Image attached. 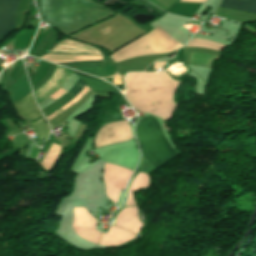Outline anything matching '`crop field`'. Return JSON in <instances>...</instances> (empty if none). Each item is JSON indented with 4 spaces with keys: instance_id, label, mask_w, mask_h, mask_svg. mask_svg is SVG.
<instances>
[{
    "instance_id": "1",
    "label": "crop field",
    "mask_w": 256,
    "mask_h": 256,
    "mask_svg": "<svg viewBox=\"0 0 256 256\" xmlns=\"http://www.w3.org/2000/svg\"><path fill=\"white\" fill-rule=\"evenodd\" d=\"M180 82L174 81L167 72L130 73L125 77L126 93L132 106L151 115L170 119L175 108L173 93Z\"/></svg>"
},
{
    "instance_id": "2",
    "label": "crop field",
    "mask_w": 256,
    "mask_h": 256,
    "mask_svg": "<svg viewBox=\"0 0 256 256\" xmlns=\"http://www.w3.org/2000/svg\"><path fill=\"white\" fill-rule=\"evenodd\" d=\"M39 5L42 21L66 35L113 15L88 0H39Z\"/></svg>"
},
{
    "instance_id": "3",
    "label": "crop field",
    "mask_w": 256,
    "mask_h": 256,
    "mask_svg": "<svg viewBox=\"0 0 256 256\" xmlns=\"http://www.w3.org/2000/svg\"><path fill=\"white\" fill-rule=\"evenodd\" d=\"M135 132L143 154L156 168L169 163L178 155L166 142L154 118L148 116L138 121Z\"/></svg>"
},
{
    "instance_id": "4",
    "label": "crop field",
    "mask_w": 256,
    "mask_h": 256,
    "mask_svg": "<svg viewBox=\"0 0 256 256\" xmlns=\"http://www.w3.org/2000/svg\"><path fill=\"white\" fill-rule=\"evenodd\" d=\"M132 172V170L107 162L104 173V181L106 185L105 194L115 205L118 200L120 190H125L126 182L129 180Z\"/></svg>"
},
{
    "instance_id": "5",
    "label": "crop field",
    "mask_w": 256,
    "mask_h": 256,
    "mask_svg": "<svg viewBox=\"0 0 256 256\" xmlns=\"http://www.w3.org/2000/svg\"><path fill=\"white\" fill-rule=\"evenodd\" d=\"M132 138L131 131L127 121L109 123L103 126L97 136L95 145L96 148L109 144L129 140Z\"/></svg>"
},
{
    "instance_id": "6",
    "label": "crop field",
    "mask_w": 256,
    "mask_h": 256,
    "mask_svg": "<svg viewBox=\"0 0 256 256\" xmlns=\"http://www.w3.org/2000/svg\"><path fill=\"white\" fill-rule=\"evenodd\" d=\"M20 0H0V41L15 31V12Z\"/></svg>"
},
{
    "instance_id": "7",
    "label": "crop field",
    "mask_w": 256,
    "mask_h": 256,
    "mask_svg": "<svg viewBox=\"0 0 256 256\" xmlns=\"http://www.w3.org/2000/svg\"><path fill=\"white\" fill-rule=\"evenodd\" d=\"M96 222L86 209L74 208V223L72 226L98 243L101 233L95 230Z\"/></svg>"
},
{
    "instance_id": "8",
    "label": "crop field",
    "mask_w": 256,
    "mask_h": 256,
    "mask_svg": "<svg viewBox=\"0 0 256 256\" xmlns=\"http://www.w3.org/2000/svg\"><path fill=\"white\" fill-rule=\"evenodd\" d=\"M116 226L138 233L142 223L138 220L137 207L122 209L117 216Z\"/></svg>"
},
{
    "instance_id": "9",
    "label": "crop field",
    "mask_w": 256,
    "mask_h": 256,
    "mask_svg": "<svg viewBox=\"0 0 256 256\" xmlns=\"http://www.w3.org/2000/svg\"><path fill=\"white\" fill-rule=\"evenodd\" d=\"M136 236L117 227L111 226L107 235H101L100 244L105 246H113V245H120L124 242H127Z\"/></svg>"
},
{
    "instance_id": "10",
    "label": "crop field",
    "mask_w": 256,
    "mask_h": 256,
    "mask_svg": "<svg viewBox=\"0 0 256 256\" xmlns=\"http://www.w3.org/2000/svg\"><path fill=\"white\" fill-rule=\"evenodd\" d=\"M73 73H75L77 76H79L92 90L93 92L97 93H109L111 85L107 84L103 80L83 74L77 71L71 70Z\"/></svg>"
},
{
    "instance_id": "11",
    "label": "crop field",
    "mask_w": 256,
    "mask_h": 256,
    "mask_svg": "<svg viewBox=\"0 0 256 256\" xmlns=\"http://www.w3.org/2000/svg\"><path fill=\"white\" fill-rule=\"evenodd\" d=\"M219 7H227L256 14V0H222Z\"/></svg>"
},
{
    "instance_id": "12",
    "label": "crop field",
    "mask_w": 256,
    "mask_h": 256,
    "mask_svg": "<svg viewBox=\"0 0 256 256\" xmlns=\"http://www.w3.org/2000/svg\"><path fill=\"white\" fill-rule=\"evenodd\" d=\"M147 185H148V175L142 174V173L138 172L136 174L133 182L131 183L129 194H128V198H127L125 206H132V205H134V200L132 198V196H133L132 191L140 190L142 188H147Z\"/></svg>"
},
{
    "instance_id": "13",
    "label": "crop field",
    "mask_w": 256,
    "mask_h": 256,
    "mask_svg": "<svg viewBox=\"0 0 256 256\" xmlns=\"http://www.w3.org/2000/svg\"><path fill=\"white\" fill-rule=\"evenodd\" d=\"M200 4L193 3H177L173 8H171L168 12L190 18L193 13L198 9Z\"/></svg>"
},
{
    "instance_id": "14",
    "label": "crop field",
    "mask_w": 256,
    "mask_h": 256,
    "mask_svg": "<svg viewBox=\"0 0 256 256\" xmlns=\"http://www.w3.org/2000/svg\"><path fill=\"white\" fill-rule=\"evenodd\" d=\"M60 147H61L60 145L52 143L42 164L40 163L47 171H49L50 168L52 167V165L60 151Z\"/></svg>"
},
{
    "instance_id": "15",
    "label": "crop field",
    "mask_w": 256,
    "mask_h": 256,
    "mask_svg": "<svg viewBox=\"0 0 256 256\" xmlns=\"http://www.w3.org/2000/svg\"><path fill=\"white\" fill-rule=\"evenodd\" d=\"M90 89L88 88V86L86 85L81 92L75 97L73 98L69 103H67L66 105H64L63 107H61L60 109H58L57 111H55L53 114H51L50 116L46 117L48 122L51 121L52 119H54L56 116H58L59 114H61L63 111H65L66 109H68L69 107H71L73 104H75L76 102H78Z\"/></svg>"
},
{
    "instance_id": "16",
    "label": "crop field",
    "mask_w": 256,
    "mask_h": 256,
    "mask_svg": "<svg viewBox=\"0 0 256 256\" xmlns=\"http://www.w3.org/2000/svg\"><path fill=\"white\" fill-rule=\"evenodd\" d=\"M73 69L84 72V73H87V74L95 75V76H98V77L105 76L103 66L78 67V68H73Z\"/></svg>"
},
{
    "instance_id": "17",
    "label": "crop field",
    "mask_w": 256,
    "mask_h": 256,
    "mask_svg": "<svg viewBox=\"0 0 256 256\" xmlns=\"http://www.w3.org/2000/svg\"><path fill=\"white\" fill-rule=\"evenodd\" d=\"M66 67L72 66H93V65H103V61H88V62H72V63H59Z\"/></svg>"
},
{
    "instance_id": "18",
    "label": "crop field",
    "mask_w": 256,
    "mask_h": 256,
    "mask_svg": "<svg viewBox=\"0 0 256 256\" xmlns=\"http://www.w3.org/2000/svg\"><path fill=\"white\" fill-rule=\"evenodd\" d=\"M33 74H34V71H33Z\"/></svg>"
}]
</instances>
